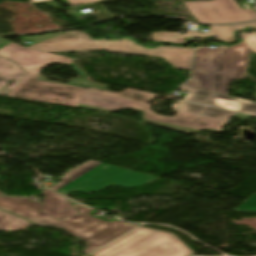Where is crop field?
I'll return each instance as SVG.
<instances>
[{"label":"crop field","instance_id":"1","mask_svg":"<svg viewBox=\"0 0 256 256\" xmlns=\"http://www.w3.org/2000/svg\"><path fill=\"white\" fill-rule=\"evenodd\" d=\"M0 40L9 44L0 50V55L13 60L28 72V75L8 95L9 97L77 107L80 96L89 90L144 103L158 96L132 89H126L120 94L106 92L104 90L108 86L87 79V75L72 62L71 58L28 49L2 38ZM51 63L67 64L81 77L69 80L68 84H62L50 82L45 76L38 75L43 66Z\"/></svg>","mask_w":256,"mask_h":256},{"label":"crop field","instance_id":"2","mask_svg":"<svg viewBox=\"0 0 256 256\" xmlns=\"http://www.w3.org/2000/svg\"><path fill=\"white\" fill-rule=\"evenodd\" d=\"M181 111L176 117L161 116L150 110L149 104L87 92L80 98L79 106L106 112L125 108L144 111V122L189 134L191 132L211 130L222 133V125L232 118L234 112L214 109L198 104L180 101Z\"/></svg>","mask_w":256,"mask_h":256},{"label":"crop field","instance_id":"3","mask_svg":"<svg viewBox=\"0 0 256 256\" xmlns=\"http://www.w3.org/2000/svg\"><path fill=\"white\" fill-rule=\"evenodd\" d=\"M42 204L26 198L0 197V208L34 223H48L60 225L61 228L84 240L87 244L83 253H90L109 241L119 237L137 225L111 223L93 218L89 213L92 209L73 205L80 213L79 216L56 220L41 212Z\"/></svg>","mask_w":256,"mask_h":256},{"label":"crop field","instance_id":"4","mask_svg":"<svg viewBox=\"0 0 256 256\" xmlns=\"http://www.w3.org/2000/svg\"><path fill=\"white\" fill-rule=\"evenodd\" d=\"M28 48L46 52L92 51L105 50L109 52L159 56L163 57L175 68L190 70L194 48L157 46L148 49L133 42L129 38L121 40H93L82 31H72L46 41L34 44Z\"/></svg>","mask_w":256,"mask_h":256},{"label":"crop field","instance_id":"5","mask_svg":"<svg viewBox=\"0 0 256 256\" xmlns=\"http://www.w3.org/2000/svg\"><path fill=\"white\" fill-rule=\"evenodd\" d=\"M221 51H224L217 92L227 93L228 85L243 79L249 48L247 44L232 46L229 50L200 48L196 50L192 80L189 86L215 91Z\"/></svg>","mask_w":256,"mask_h":256},{"label":"crop field","instance_id":"6","mask_svg":"<svg viewBox=\"0 0 256 256\" xmlns=\"http://www.w3.org/2000/svg\"><path fill=\"white\" fill-rule=\"evenodd\" d=\"M158 179L157 177L102 164L97 161H89L65 174L59 179L62 182L50 189L63 194L73 189L83 192H94L110 184L134 187Z\"/></svg>","mask_w":256,"mask_h":256},{"label":"crop field","instance_id":"7","mask_svg":"<svg viewBox=\"0 0 256 256\" xmlns=\"http://www.w3.org/2000/svg\"><path fill=\"white\" fill-rule=\"evenodd\" d=\"M174 234L140 227L90 256H191Z\"/></svg>","mask_w":256,"mask_h":256},{"label":"crop field","instance_id":"8","mask_svg":"<svg viewBox=\"0 0 256 256\" xmlns=\"http://www.w3.org/2000/svg\"><path fill=\"white\" fill-rule=\"evenodd\" d=\"M72 5L106 0H67ZM199 23L227 24L256 19L252 9L242 10L234 0H214L212 2L184 3Z\"/></svg>","mask_w":256,"mask_h":256},{"label":"crop field","instance_id":"9","mask_svg":"<svg viewBox=\"0 0 256 256\" xmlns=\"http://www.w3.org/2000/svg\"><path fill=\"white\" fill-rule=\"evenodd\" d=\"M184 89L191 90V94L185 98L186 101L256 116V102L233 98L189 86Z\"/></svg>","mask_w":256,"mask_h":256},{"label":"crop field","instance_id":"10","mask_svg":"<svg viewBox=\"0 0 256 256\" xmlns=\"http://www.w3.org/2000/svg\"><path fill=\"white\" fill-rule=\"evenodd\" d=\"M248 26H256V22L249 23V24L233 25V26H210V32L189 31L185 35H180L179 33H166V32H156L152 34L155 41H166V42H173V43H183L184 38L204 37V36H216L226 42H233L234 32L238 28L248 27Z\"/></svg>","mask_w":256,"mask_h":256},{"label":"crop field","instance_id":"11","mask_svg":"<svg viewBox=\"0 0 256 256\" xmlns=\"http://www.w3.org/2000/svg\"><path fill=\"white\" fill-rule=\"evenodd\" d=\"M45 195L42 212L57 219L79 215L77 210L63 196L58 195L50 190H43Z\"/></svg>","mask_w":256,"mask_h":256},{"label":"crop field","instance_id":"12","mask_svg":"<svg viewBox=\"0 0 256 256\" xmlns=\"http://www.w3.org/2000/svg\"><path fill=\"white\" fill-rule=\"evenodd\" d=\"M26 75L16 63L0 56V95L7 96Z\"/></svg>","mask_w":256,"mask_h":256},{"label":"crop field","instance_id":"13","mask_svg":"<svg viewBox=\"0 0 256 256\" xmlns=\"http://www.w3.org/2000/svg\"><path fill=\"white\" fill-rule=\"evenodd\" d=\"M30 225L29 221L0 210V230H26Z\"/></svg>","mask_w":256,"mask_h":256},{"label":"crop field","instance_id":"14","mask_svg":"<svg viewBox=\"0 0 256 256\" xmlns=\"http://www.w3.org/2000/svg\"><path fill=\"white\" fill-rule=\"evenodd\" d=\"M236 211L256 212V194H253L247 201L239 206Z\"/></svg>","mask_w":256,"mask_h":256},{"label":"crop field","instance_id":"15","mask_svg":"<svg viewBox=\"0 0 256 256\" xmlns=\"http://www.w3.org/2000/svg\"><path fill=\"white\" fill-rule=\"evenodd\" d=\"M239 34L244 38L252 52L256 53V31L251 34L245 32H240Z\"/></svg>","mask_w":256,"mask_h":256},{"label":"crop field","instance_id":"16","mask_svg":"<svg viewBox=\"0 0 256 256\" xmlns=\"http://www.w3.org/2000/svg\"><path fill=\"white\" fill-rule=\"evenodd\" d=\"M65 33V32H63ZM62 34V33H59ZM59 34H50V35H42V36H30V37H21L23 41H36V42H40L43 41L45 39L57 36Z\"/></svg>","mask_w":256,"mask_h":256},{"label":"crop field","instance_id":"17","mask_svg":"<svg viewBox=\"0 0 256 256\" xmlns=\"http://www.w3.org/2000/svg\"><path fill=\"white\" fill-rule=\"evenodd\" d=\"M235 118H239V119H244V120H247L248 118H250L249 116H244V115H240V114H237L236 116H234Z\"/></svg>","mask_w":256,"mask_h":256},{"label":"crop field","instance_id":"18","mask_svg":"<svg viewBox=\"0 0 256 256\" xmlns=\"http://www.w3.org/2000/svg\"><path fill=\"white\" fill-rule=\"evenodd\" d=\"M47 1H53V0H31V4L40 3V2H47Z\"/></svg>","mask_w":256,"mask_h":256},{"label":"crop field","instance_id":"19","mask_svg":"<svg viewBox=\"0 0 256 256\" xmlns=\"http://www.w3.org/2000/svg\"><path fill=\"white\" fill-rule=\"evenodd\" d=\"M38 225H46V226H54V227H60V226H56V225H48V224H41V223H36Z\"/></svg>","mask_w":256,"mask_h":256},{"label":"crop field","instance_id":"20","mask_svg":"<svg viewBox=\"0 0 256 256\" xmlns=\"http://www.w3.org/2000/svg\"><path fill=\"white\" fill-rule=\"evenodd\" d=\"M222 54H223V52H222ZM221 60H222V55H221ZM220 65H221V61H220ZM220 69V68H219ZM218 76H219V74H218ZM216 92V91H215Z\"/></svg>","mask_w":256,"mask_h":256},{"label":"crop field","instance_id":"21","mask_svg":"<svg viewBox=\"0 0 256 256\" xmlns=\"http://www.w3.org/2000/svg\"><path fill=\"white\" fill-rule=\"evenodd\" d=\"M245 42H240V43H238V44H244ZM238 44H236V45H238Z\"/></svg>","mask_w":256,"mask_h":256},{"label":"crop field","instance_id":"22","mask_svg":"<svg viewBox=\"0 0 256 256\" xmlns=\"http://www.w3.org/2000/svg\"><path fill=\"white\" fill-rule=\"evenodd\" d=\"M0 195H6V194L0 192Z\"/></svg>","mask_w":256,"mask_h":256},{"label":"crop field","instance_id":"23","mask_svg":"<svg viewBox=\"0 0 256 256\" xmlns=\"http://www.w3.org/2000/svg\"><path fill=\"white\" fill-rule=\"evenodd\" d=\"M254 88H256V87H254ZM255 96V98H256V95H254Z\"/></svg>","mask_w":256,"mask_h":256}]
</instances>
